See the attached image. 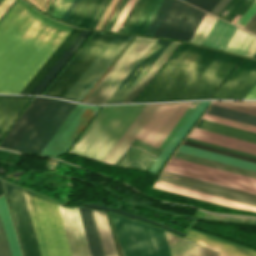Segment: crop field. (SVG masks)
Listing matches in <instances>:
<instances>
[{
	"mask_svg": "<svg viewBox=\"0 0 256 256\" xmlns=\"http://www.w3.org/2000/svg\"><path fill=\"white\" fill-rule=\"evenodd\" d=\"M71 29L18 0L0 22V93H19Z\"/></svg>",
	"mask_w": 256,
	"mask_h": 256,
	"instance_id": "1",
	"label": "crop field"
},
{
	"mask_svg": "<svg viewBox=\"0 0 256 256\" xmlns=\"http://www.w3.org/2000/svg\"><path fill=\"white\" fill-rule=\"evenodd\" d=\"M240 59L183 44L136 102L209 99Z\"/></svg>",
	"mask_w": 256,
	"mask_h": 256,
	"instance_id": "2",
	"label": "crop field"
},
{
	"mask_svg": "<svg viewBox=\"0 0 256 256\" xmlns=\"http://www.w3.org/2000/svg\"><path fill=\"white\" fill-rule=\"evenodd\" d=\"M75 105L35 97L2 139L0 147L40 153Z\"/></svg>",
	"mask_w": 256,
	"mask_h": 256,
	"instance_id": "3",
	"label": "crop field"
},
{
	"mask_svg": "<svg viewBox=\"0 0 256 256\" xmlns=\"http://www.w3.org/2000/svg\"><path fill=\"white\" fill-rule=\"evenodd\" d=\"M187 102L178 103H160V104H147L138 117L134 120L131 126L127 129L121 139L117 142L114 148L110 151L103 163L111 164L116 161L128 143L133 137L143 140L147 143L155 145L162 134L166 131L169 125L173 122L179 112L183 109ZM192 102H188L181 113L177 116L174 122L170 125L164 135L160 138L155 146H159L162 140L170 132L173 126L177 123L180 117L188 109ZM200 102H193V104L199 105ZM191 105V106H192ZM190 106V107H191ZM186 111L183 117L179 120L170 134L166 137L159 148L164 149L168 142L172 139L175 133L183 125L186 119L193 112V108Z\"/></svg>",
	"mask_w": 256,
	"mask_h": 256,
	"instance_id": "4",
	"label": "crop field"
},
{
	"mask_svg": "<svg viewBox=\"0 0 256 256\" xmlns=\"http://www.w3.org/2000/svg\"><path fill=\"white\" fill-rule=\"evenodd\" d=\"M144 105L104 106L70 152L102 162Z\"/></svg>",
	"mask_w": 256,
	"mask_h": 256,
	"instance_id": "5",
	"label": "crop field"
},
{
	"mask_svg": "<svg viewBox=\"0 0 256 256\" xmlns=\"http://www.w3.org/2000/svg\"><path fill=\"white\" fill-rule=\"evenodd\" d=\"M23 193L42 256H71L56 202L26 189Z\"/></svg>",
	"mask_w": 256,
	"mask_h": 256,
	"instance_id": "6",
	"label": "crop field"
},
{
	"mask_svg": "<svg viewBox=\"0 0 256 256\" xmlns=\"http://www.w3.org/2000/svg\"><path fill=\"white\" fill-rule=\"evenodd\" d=\"M112 219L123 256H170L162 230L116 215Z\"/></svg>",
	"mask_w": 256,
	"mask_h": 256,
	"instance_id": "7",
	"label": "crop field"
},
{
	"mask_svg": "<svg viewBox=\"0 0 256 256\" xmlns=\"http://www.w3.org/2000/svg\"><path fill=\"white\" fill-rule=\"evenodd\" d=\"M58 208L72 256H91V254L92 256H104L91 211L88 209L78 208L90 247V254L78 209L63 208L60 205H58Z\"/></svg>",
	"mask_w": 256,
	"mask_h": 256,
	"instance_id": "8",
	"label": "crop field"
},
{
	"mask_svg": "<svg viewBox=\"0 0 256 256\" xmlns=\"http://www.w3.org/2000/svg\"><path fill=\"white\" fill-rule=\"evenodd\" d=\"M155 40L154 38L136 37L84 102L104 103Z\"/></svg>",
	"mask_w": 256,
	"mask_h": 256,
	"instance_id": "9",
	"label": "crop field"
},
{
	"mask_svg": "<svg viewBox=\"0 0 256 256\" xmlns=\"http://www.w3.org/2000/svg\"><path fill=\"white\" fill-rule=\"evenodd\" d=\"M112 36L94 32L43 95L62 98Z\"/></svg>",
	"mask_w": 256,
	"mask_h": 256,
	"instance_id": "10",
	"label": "crop field"
},
{
	"mask_svg": "<svg viewBox=\"0 0 256 256\" xmlns=\"http://www.w3.org/2000/svg\"><path fill=\"white\" fill-rule=\"evenodd\" d=\"M81 31V29L77 28L72 29V31L67 35V37L62 41V43L57 47V49L52 53V55L47 59V61L42 65V67L37 71V73L32 77V79L27 83V85L22 89L20 93H31L36 85L41 81V79L46 75V73L51 69V67L56 63V61L61 57V55L66 51V49L71 45L76 37L81 33ZM90 33V31H82V33L77 37V39L72 43V45L67 49V51L62 55V57L57 61V63L52 67V69L47 73V75L42 79V81L37 85L31 94L42 93V91L57 75L61 68L75 53V51L90 35Z\"/></svg>",
	"mask_w": 256,
	"mask_h": 256,
	"instance_id": "11",
	"label": "crop field"
},
{
	"mask_svg": "<svg viewBox=\"0 0 256 256\" xmlns=\"http://www.w3.org/2000/svg\"><path fill=\"white\" fill-rule=\"evenodd\" d=\"M165 171L256 194V179L254 178L174 158L167 164Z\"/></svg>",
	"mask_w": 256,
	"mask_h": 256,
	"instance_id": "12",
	"label": "crop field"
},
{
	"mask_svg": "<svg viewBox=\"0 0 256 256\" xmlns=\"http://www.w3.org/2000/svg\"><path fill=\"white\" fill-rule=\"evenodd\" d=\"M173 0L154 36L190 41L205 12Z\"/></svg>",
	"mask_w": 256,
	"mask_h": 256,
	"instance_id": "13",
	"label": "crop field"
},
{
	"mask_svg": "<svg viewBox=\"0 0 256 256\" xmlns=\"http://www.w3.org/2000/svg\"><path fill=\"white\" fill-rule=\"evenodd\" d=\"M100 108L77 104L41 154L55 156L66 153Z\"/></svg>",
	"mask_w": 256,
	"mask_h": 256,
	"instance_id": "14",
	"label": "crop field"
},
{
	"mask_svg": "<svg viewBox=\"0 0 256 256\" xmlns=\"http://www.w3.org/2000/svg\"><path fill=\"white\" fill-rule=\"evenodd\" d=\"M157 182L256 207V195L163 171Z\"/></svg>",
	"mask_w": 256,
	"mask_h": 256,
	"instance_id": "15",
	"label": "crop field"
},
{
	"mask_svg": "<svg viewBox=\"0 0 256 256\" xmlns=\"http://www.w3.org/2000/svg\"><path fill=\"white\" fill-rule=\"evenodd\" d=\"M5 187L25 256H41L22 189L8 183H5Z\"/></svg>",
	"mask_w": 256,
	"mask_h": 256,
	"instance_id": "16",
	"label": "crop field"
},
{
	"mask_svg": "<svg viewBox=\"0 0 256 256\" xmlns=\"http://www.w3.org/2000/svg\"><path fill=\"white\" fill-rule=\"evenodd\" d=\"M255 84L256 61L244 59L213 98L244 99Z\"/></svg>",
	"mask_w": 256,
	"mask_h": 256,
	"instance_id": "17",
	"label": "crop field"
},
{
	"mask_svg": "<svg viewBox=\"0 0 256 256\" xmlns=\"http://www.w3.org/2000/svg\"><path fill=\"white\" fill-rule=\"evenodd\" d=\"M129 36H116L109 41L69 91L64 95V99H70L76 101L122 44L127 40Z\"/></svg>",
	"mask_w": 256,
	"mask_h": 256,
	"instance_id": "18",
	"label": "crop field"
},
{
	"mask_svg": "<svg viewBox=\"0 0 256 256\" xmlns=\"http://www.w3.org/2000/svg\"><path fill=\"white\" fill-rule=\"evenodd\" d=\"M170 43V41L157 39L148 55L135 66V68L130 72V74L124 79V81L118 86V88L113 92V94L107 99L105 103H121L136 85L141 75L159 58V56L164 52ZM147 61L148 63L138 74L135 80L124 89L129 80Z\"/></svg>",
	"mask_w": 256,
	"mask_h": 256,
	"instance_id": "19",
	"label": "crop field"
},
{
	"mask_svg": "<svg viewBox=\"0 0 256 256\" xmlns=\"http://www.w3.org/2000/svg\"><path fill=\"white\" fill-rule=\"evenodd\" d=\"M111 0H81L67 22L95 28Z\"/></svg>",
	"mask_w": 256,
	"mask_h": 256,
	"instance_id": "20",
	"label": "crop field"
},
{
	"mask_svg": "<svg viewBox=\"0 0 256 256\" xmlns=\"http://www.w3.org/2000/svg\"><path fill=\"white\" fill-rule=\"evenodd\" d=\"M185 239L218 251L220 256H256V252L189 230Z\"/></svg>",
	"mask_w": 256,
	"mask_h": 256,
	"instance_id": "21",
	"label": "crop field"
},
{
	"mask_svg": "<svg viewBox=\"0 0 256 256\" xmlns=\"http://www.w3.org/2000/svg\"><path fill=\"white\" fill-rule=\"evenodd\" d=\"M137 142V139H135V138H133V140L130 142V144L127 146V148L124 150V152L121 154V156L118 158V160L115 162V164L114 165H116V166H118L120 163H121V161L124 159V157L127 155V153H128V151L134 146V144ZM140 140H138V142L135 144V148H137V146L140 144ZM146 145H147V143H144V142H142L141 144H140V146L137 148V151H140V152H142L143 151V149L146 147ZM156 150V147H154V146H152V145H147V147L144 149V151L141 153V155H140V158H144V159H149L150 157H151V155L153 154V152ZM135 151V149L134 148H132V150L130 151V152H134ZM137 151H135V153L133 154V156H136V157H138L139 156V154H140V152H137ZM129 152V156H131L132 155V153H130ZM162 152V149H159V148H157V150L155 151V153L152 155V157L150 158V160L146 163V161H142V160H139V159H137V161L135 162V160H136V157H133V156H131L130 157V159H129V157L128 156H126V158L123 160V162L121 163V165H123L124 166V164L126 163V161L129 159V161H131V162H135V164L133 165V163H131V162H129V161H127V163L125 164V166L124 167H128V168H133V169H138V170H147L148 169V167L150 166V164L153 162L154 163V161L157 159V157L159 156V154ZM146 163V164H145ZM144 164H145V166H144ZM134 166V167H139V168H142L143 166V168L142 169H139V168H134V167H131V166Z\"/></svg>",
	"mask_w": 256,
	"mask_h": 256,
	"instance_id": "22",
	"label": "crop field"
},
{
	"mask_svg": "<svg viewBox=\"0 0 256 256\" xmlns=\"http://www.w3.org/2000/svg\"><path fill=\"white\" fill-rule=\"evenodd\" d=\"M31 98L30 96H0V138Z\"/></svg>",
	"mask_w": 256,
	"mask_h": 256,
	"instance_id": "23",
	"label": "crop field"
},
{
	"mask_svg": "<svg viewBox=\"0 0 256 256\" xmlns=\"http://www.w3.org/2000/svg\"><path fill=\"white\" fill-rule=\"evenodd\" d=\"M188 138L256 154V144L194 128Z\"/></svg>",
	"mask_w": 256,
	"mask_h": 256,
	"instance_id": "24",
	"label": "crop field"
},
{
	"mask_svg": "<svg viewBox=\"0 0 256 256\" xmlns=\"http://www.w3.org/2000/svg\"><path fill=\"white\" fill-rule=\"evenodd\" d=\"M210 102L211 101L200 103V105L197 107L194 113L190 116L187 122L183 125V127L180 129L177 135L173 138V140L170 142L167 148L163 151L160 157L156 160V162L150 168L149 170L150 172H154V173L158 172V170L161 168L164 162L168 159V157L171 155V153L174 151L177 145L181 142V140L184 138L187 132L191 129V127L194 125V123L197 121L200 115L204 112V110L210 104Z\"/></svg>",
	"mask_w": 256,
	"mask_h": 256,
	"instance_id": "25",
	"label": "crop field"
},
{
	"mask_svg": "<svg viewBox=\"0 0 256 256\" xmlns=\"http://www.w3.org/2000/svg\"><path fill=\"white\" fill-rule=\"evenodd\" d=\"M92 211L98 235L105 256H119L114 242L107 214L99 211Z\"/></svg>",
	"mask_w": 256,
	"mask_h": 256,
	"instance_id": "26",
	"label": "crop field"
},
{
	"mask_svg": "<svg viewBox=\"0 0 256 256\" xmlns=\"http://www.w3.org/2000/svg\"><path fill=\"white\" fill-rule=\"evenodd\" d=\"M165 236L171 256H217L211 251H208L167 232H165Z\"/></svg>",
	"mask_w": 256,
	"mask_h": 256,
	"instance_id": "27",
	"label": "crop field"
},
{
	"mask_svg": "<svg viewBox=\"0 0 256 256\" xmlns=\"http://www.w3.org/2000/svg\"><path fill=\"white\" fill-rule=\"evenodd\" d=\"M180 44L181 43L177 42H172L170 44V46L165 50V52L160 56V58L144 75V77L139 81L133 91L126 97V99L122 103L134 101V99L139 95V93L144 89V87L149 83V81L154 77V75L159 71V69L164 65V63L169 59V57L174 53V51L179 47Z\"/></svg>",
	"mask_w": 256,
	"mask_h": 256,
	"instance_id": "28",
	"label": "crop field"
},
{
	"mask_svg": "<svg viewBox=\"0 0 256 256\" xmlns=\"http://www.w3.org/2000/svg\"><path fill=\"white\" fill-rule=\"evenodd\" d=\"M234 29L235 26L217 18L203 45L223 50Z\"/></svg>",
	"mask_w": 256,
	"mask_h": 256,
	"instance_id": "29",
	"label": "crop field"
},
{
	"mask_svg": "<svg viewBox=\"0 0 256 256\" xmlns=\"http://www.w3.org/2000/svg\"><path fill=\"white\" fill-rule=\"evenodd\" d=\"M196 128L256 143V133L201 119Z\"/></svg>",
	"mask_w": 256,
	"mask_h": 256,
	"instance_id": "30",
	"label": "crop field"
},
{
	"mask_svg": "<svg viewBox=\"0 0 256 256\" xmlns=\"http://www.w3.org/2000/svg\"><path fill=\"white\" fill-rule=\"evenodd\" d=\"M154 188H158V189H162V190L182 194V195H185V196H189V197L209 201V202H212V203H216V204H220V205H224V206H228V207H232V208H236V209H240V210L255 211L256 212V208H254V207L238 204V203H235V202H231V201L211 197V196H208V195H204V194L184 190V189H181V188H177V187H173V186H169V185H165V184H161V183H157V182L155 183Z\"/></svg>",
	"mask_w": 256,
	"mask_h": 256,
	"instance_id": "31",
	"label": "crop field"
},
{
	"mask_svg": "<svg viewBox=\"0 0 256 256\" xmlns=\"http://www.w3.org/2000/svg\"><path fill=\"white\" fill-rule=\"evenodd\" d=\"M178 151L256 171L255 163H251V162H247V161H243V160H239V159H235V158H231V157H227V156H223V155H219V154H215V153H211V152H207V151H203V150H199V149H195V148H191L183 145L179 147Z\"/></svg>",
	"mask_w": 256,
	"mask_h": 256,
	"instance_id": "32",
	"label": "crop field"
},
{
	"mask_svg": "<svg viewBox=\"0 0 256 256\" xmlns=\"http://www.w3.org/2000/svg\"><path fill=\"white\" fill-rule=\"evenodd\" d=\"M0 215L5 228L7 239L13 256H22L15 230L12 224L5 196L0 197Z\"/></svg>",
	"mask_w": 256,
	"mask_h": 256,
	"instance_id": "33",
	"label": "crop field"
},
{
	"mask_svg": "<svg viewBox=\"0 0 256 256\" xmlns=\"http://www.w3.org/2000/svg\"><path fill=\"white\" fill-rule=\"evenodd\" d=\"M174 157L256 178V172H254V171H250V170H246V169H242V168H238V167H234V166H230V165H226V164H222V163H218V162H214V161L178 153V152H176Z\"/></svg>",
	"mask_w": 256,
	"mask_h": 256,
	"instance_id": "34",
	"label": "crop field"
},
{
	"mask_svg": "<svg viewBox=\"0 0 256 256\" xmlns=\"http://www.w3.org/2000/svg\"><path fill=\"white\" fill-rule=\"evenodd\" d=\"M163 0H150L131 33L144 34Z\"/></svg>",
	"mask_w": 256,
	"mask_h": 256,
	"instance_id": "35",
	"label": "crop field"
},
{
	"mask_svg": "<svg viewBox=\"0 0 256 256\" xmlns=\"http://www.w3.org/2000/svg\"><path fill=\"white\" fill-rule=\"evenodd\" d=\"M254 0H231L221 12L223 19L235 24Z\"/></svg>",
	"mask_w": 256,
	"mask_h": 256,
	"instance_id": "36",
	"label": "crop field"
},
{
	"mask_svg": "<svg viewBox=\"0 0 256 256\" xmlns=\"http://www.w3.org/2000/svg\"><path fill=\"white\" fill-rule=\"evenodd\" d=\"M207 114L251 124L256 126V116L216 107V106H210L209 110L207 111Z\"/></svg>",
	"mask_w": 256,
	"mask_h": 256,
	"instance_id": "37",
	"label": "crop field"
},
{
	"mask_svg": "<svg viewBox=\"0 0 256 256\" xmlns=\"http://www.w3.org/2000/svg\"><path fill=\"white\" fill-rule=\"evenodd\" d=\"M212 105L256 115V101H213Z\"/></svg>",
	"mask_w": 256,
	"mask_h": 256,
	"instance_id": "38",
	"label": "crop field"
},
{
	"mask_svg": "<svg viewBox=\"0 0 256 256\" xmlns=\"http://www.w3.org/2000/svg\"><path fill=\"white\" fill-rule=\"evenodd\" d=\"M84 206H89V207H94V208H99V209H104V210H108V211H112V212H115V213H119V214H122V215H126V216H129V217H133V218H136V219H140V220H143V221H146L148 223H151V224H155V225H159L171 232H174L180 236H184V234L172 229V228H169L161 223H158L156 221H153V220H150L148 218H145V217H142V216H139V215H136V214H133V213H129V212H125V211H121V210H117V209H110V208H106V207H103V206H100L98 204H94V203H86V204H82Z\"/></svg>",
	"mask_w": 256,
	"mask_h": 256,
	"instance_id": "39",
	"label": "crop field"
},
{
	"mask_svg": "<svg viewBox=\"0 0 256 256\" xmlns=\"http://www.w3.org/2000/svg\"><path fill=\"white\" fill-rule=\"evenodd\" d=\"M149 0H140L137 6L135 7L134 11L130 15L129 19L127 20L126 24L122 28L121 32L130 33L131 29L135 25L136 21L138 20L139 16L141 15L142 11L146 7Z\"/></svg>",
	"mask_w": 256,
	"mask_h": 256,
	"instance_id": "40",
	"label": "crop field"
},
{
	"mask_svg": "<svg viewBox=\"0 0 256 256\" xmlns=\"http://www.w3.org/2000/svg\"><path fill=\"white\" fill-rule=\"evenodd\" d=\"M171 2H172V0H164L163 4L161 5L157 14L155 15L154 19L152 20L151 24L149 25L148 29L146 30L145 34L153 35L155 29L157 28L158 24L160 23L162 17L164 16V14H165L166 10L168 9L169 5L171 4Z\"/></svg>",
	"mask_w": 256,
	"mask_h": 256,
	"instance_id": "41",
	"label": "crop field"
},
{
	"mask_svg": "<svg viewBox=\"0 0 256 256\" xmlns=\"http://www.w3.org/2000/svg\"><path fill=\"white\" fill-rule=\"evenodd\" d=\"M203 119H207V120H211V121H215V122H219V123H223V124H227V125H231L238 128L256 132L255 126H251V125H247V124H243V123H239V122H235V121H231V120H227V119H223V118H219V117H215L207 114H205Z\"/></svg>",
	"mask_w": 256,
	"mask_h": 256,
	"instance_id": "42",
	"label": "crop field"
},
{
	"mask_svg": "<svg viewBox=\"0 0 256 256\" xmlns=\"http://www.w3.org/2000/svg\"><path fill=\"white\" fill-rule=\"evenodd\" d=\"M183 144L192 146V147H196V148H200V149H204V150H208V151H212V152H216V153H220V154H224V155H228V156H232V157H236V158H240V159H244V160H248V161H252V162H256V159H254V158H250V157H246V156H242V155H238V154H234V153H230V152H226V151H222V150H218V149H214V148H210V147H206V146H202V145H198V144H194V143H190V142H186V141H184Z\"/></svg>",
	"mask_w": 256,
	"mask_h": 256,
	"instance_id": "43",
	"label": "crop field"
},
{
	"mask_svg": "<svg viewBox=\"0 0 256 256\" xmlns=\"http://www.w3.org/2000/svg\"><path fill=\"white\" fill-rule=\"evenodd\" d=\"M136 0H129L127 2V4L125 5L124 9L122 10V12L120 13V15L118 16L117 20L115 21V23L113 24L112 28L110 29V31L112 32H117L118 28L120 27L121 23L123 22V20L125 19L126 15L128 14V12L130 11L131 7L133 6V4L135 3Z\"/></svg>",
	"mask_w": 256,
	"mask_h": 256,
	"instance_id": "44",
	"label": "crop field"
},
{
	"mask_svg": "<svg viewBox=\"0 0 256 256\" xmlns=\"http://www.w3.org/2000/svg\"><path fill=\"white\" fill-rule=\"evenodd\" d=\"M0 256H11L4 228L0 218Z\"/></svg>",
	"mask_w": 256,
	"mask_h": 256,
	"instance_id": "45",
	"label": "crop field"
},
{
	"mask_svg": "<svg viewBox=\"0 0 256 256\" xmlns=\"http://www.w3.org/2000/svg\"><path fill=\"white\" fill-rule=\"evenodd\" d=\"M219 0H186V2L202 8L208 12L217 4Z\"/></svg>",
	"mask_w": 256,
	"mask_h": 256,
	"instance_id": "46",
	"label": "crop field"
},
{
	"mask_svg": "<svg viewBox=\"0 0 256 256\" xmlns=\"http://www.w3.org/2000/svg\"><path fill=\"white\" fill-rule=\"evenodd\" d=\"M255 12H256V0L248 8V10L243 14V16L238 20L236 25L241 26L243 28L245 24L250 20V18L255 14Z\"/></svg>",
	"mask_w": 256,
	"mask_h": 256,
	"instance_id": "47",
	"label": "crop field"
},
{
	"mask_svg": "<svg viewBox=\"0 0 256 256\" xmlns=\"http://www.w3.org/2000/svg\"><path fill=\"white\" fill-rule=\"evenodd\" d=\"M73 0H62L60 4L57 6L55 11L52 13V16L58 17L61 19L63 14L66 12L70 4L72 3Z\"/></svg>",
	"mask_w": 256,
	"mask_h": 256,
	"instance_id": "48",
	"label": "crop field"
},
{
	"mask_svg": "<svg viewBox=\"0 0 256 256\" xmlns=\"http://www.w3.org/2000/svg\"><path fill=\"white\" fill-rule=\"evenodd\" d=\"M186 141H190V142H194V143H198V144H202V145H206V146H210V147H214V148H218V149H222V150H226V151H230V152H234V153H238V154L256 158V155H252V154H248V153H244V152H240V151H236V150H232V149H228V148H224V147H220V146H216V145H212V144H208V143H204V142H200V141H196V140H192V139H188V138H186Z\"/></svg>",
	"mask_w": 256,
	"mask_h": 256,
	"instance_id": "49",
	"label": "crop field"
},
{
	"mask_svg": "<svg viewBox=\"0 0 256 256\" xmlns=\"http://www.w3.org/2000/svg\"><path fill=\"white\" fill-rule=\"evenodd\" d=\"M132 36L124 43V45L119 49V51L114 55V57L109 61V63L104 67V69L99 73V75L94 79V81L89 85V87L84 91V93L79 97L77 102L85 95V93L90 89V87L95 83V81L100 77V75L105 71V69L110 65V63L115 59V57L120 53V51L125 47V45L130 41Z\"/></svg>",
	"mask_w": 256,
	"mask_h": 256,
	"instance_id": "50",
	"label": "crop field"
},
{
	"mask_svg": "<svg viewBox=\"0 0 256 256\" xmlns=\"http://www.w3.org/2000/svg\"><path fill=\"white\" fill-rule=\"evenodd\" d=\"M128 0H123L120 4V6L118 7V9L116 10L115 14L113 15V17L111 18L110 22L108 23V25L106 26L105 30L109 31V29L111 28L112 24L114 23V21L116 20L117 16L119 15V13L121 12V10L123 9L124 5L126 4Z\"/></svg>",
	"mask_w": 256,
	"mask_h": 256,
	"instance_id": "51",
	"label": "crop field"
},
{
	"mask_svg": "<svg viewBox=\"0 0 256 256\" xmlns=\"http://www.w3.org/2000/svg\"><path fill=\"white\" fill-rule=\"evenodd\" d=\"M230 0H220L218 4L213 8V10L210 12L216 16L219 15V13L222 11V9L227 5V3Z\"/></svg>",
	"mask_w": 256,
	"mask_h": 256,
	"instance_id": "52",
	"label": "crop field"
},
{
	"mask_svg": "<svg viewBox=\"0 0 256 256\" xmlns=\"http://www.w3.org/2000/svg\"><path fill=\"white\" fill-rule=\"evenodd\" d=\"M244 29L256 34V14L251 18V20L246 24Z\"/></svg>",
	"mask_w": 256,
	"mask_h": 256,
	"instance_id": "53",
	"label": "crop field"
},
{
	"mask_svg": "<svg viewBox=\"0 0 256 256\" xmlns=\"http://www.w3.org/2000/svg\"><path fill=\"white\" fill-rule=\"evenodd\" d=\"M14 0H0V17Z\"/></svg>",
	"mask_w": 256,
	"mask_h": 256,
	"instance_id": "54",
	"label": "crop field"
},
{
	"mask_svg": "<svg viewBox=\"0 0 256 256\" xmlns=\"http://www.w3.org/2000/svg\"><path fill=\"white\" fill-rule=\"evenodd\" d=\"M80 0H74L73 3L71 4V6L69 7V9L67 10V12L64 14V16L62 17V20L66 21V19L69 17V15L71 14V12L74 10V8L76 7V5L79 3Z\"/></svg>",
	"mask_w": 256,
	"mask_h": 256,
	"instance_id": "55",
	"label": "crop field"
},
{
	"mask_svg": "<svg viewBox=\"0 0 256 256\" xmlns=\"http://www.w3.org/2000/svg\"><path fill=\"white\" fill-rule=\"evenodd\" d=\"M255 52H256V36H255V38H254V40H253L251 46L249 47V49H248L246 55L253 57V55H254Z\"/></svg>",
	"mask_w": 256,
	"mask_h": 256,
	"instance_id": "56",
	"label": "crop field"
},
{
	"mask_svg": "<svg viewBox=\"0 0 256 256\" xmlns=\"http://www.w3.org/2000/svg\"><path fill=\"white\" fill-rule=\"evenodd\" d=\"M61 0H54L51 5L49 6V8L46 10V13L50 14L53 12V10L56 8V6L59 4Z\"/></svg>",
	"mask_w": 256,
	"mask_h": 256,
	"instance_id": "57",
	"label": "crop field"
},
{
	"mask_svg": "<svg viewBox=\"0 0 256 256\" xmlns=\"http://www.w3.org/2000/svg\"><path fill=\"white\" fill-rule=\"evenodd\" d=\"M245 99H256V86L252 89V91L247 95Z\"/></svg>",
	"mask_w": 256,
	"mask_h": 256,
	"instance_id": "58",
	"label": "crop field"
},
{
	"mask_svg": "<svg viewBox=\"0 0 256 256\" xmlns=\"http://www.w3.org/2000/svg\"><path fill=\"white\" fill-rule=\"evenodd\" d=\"M3 193V188H2V184L0 182V194Z\"/></svg>",
	"mask_w": 256,
	"mask_h": 256,
	"instance_id": "59",
	"label": "crop field"
},
{
	"mask_svg": "<svg viewBox=\"0 0 256 256\" xmlns=\"http://www.w3.org/2000/svg\"><path fill=\"white\" fill-rule=\"evenodd\" d=\"M183 1H185V0H183Z\"/></svg>",
	"mask_w": 256,
	"mask_h": 256,
	"instance_id": "60",
	"label": "crop field"
}]
</instances>
